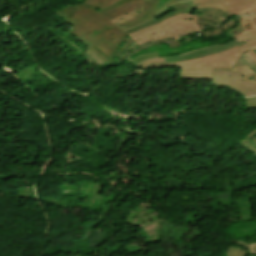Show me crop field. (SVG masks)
<instances>
[{
  "label": "crop field",
  "instance_id": "crop-field-1",
  "mask_svg": "<svg viewBox=\"0 0 256 256\" xmlns=\"http://www.w3.org/2000/svg\"><path fill=\"white\" fill-rule=\"evenodd\" d=\"M178 0H85L59 8L54 13L71 24L68 34L93 50L107 64L132 42L127 30L145 22L167 5Z\"/></svg>",
  "mask_w": 256,
  "mask_h": 256
},
{
  "label": "crop field",
  "instance_id": "crop-field-2",
  "mask_svg": "<svg viewBox=\"0 0 256 256\" xmlns=\"http://www.w3.org/2000/svg\"><path fill=\"white\" fill-rule=\"evenodd\" d=\"M180 13L209 15L226 21L235 15L256 13V0H191L178 2L159 12L155 18L153 17L154 19L130 29L126 33L130 34Z\"/></svg>",
  "mask_w": 256,
  "mask_h": 256
},
{
  "label": "crop field",
  "instance_id": "crop-field-3",
  "mask_svg": "<svg viewBox=\"0 0 256 256\" xmlns=\"http://www.w3.org/2000/svg\"><path fill=\"white\" fill-rule=\"evenodd\" d=\"M196 22H205L215 26L224 23V21L209 16L181 14L167 18L156 25L137 31L129 35V37L143 49L156 43L180 38L200 31Z\"/></svg>",
  "mask_w": 256,
  "mask_h": 256
},
{
  "label": "crop field",
  "instance_id": "crop-field-4",
  "mask_svg": "<svg viewBox=\"0 0 256 256\" xmlns=\"http://www.w3.org/2000/svg\"><path fill=\"white\" fill-rule=\"evenodd\" d=\"M249 50L247 44L237 49L226 51L221 54L209 57L192 59L176 63H157L147 65L146 68L179 66L181 68L180 77L184 79H211L212 68H232L236 60L243 52Z\"/></svg>",
  "mask_w": 256,
  "mask_h": 256
},
{
  "label": "crop field",
  "instance_id": "crop-field-5",
  "mask_svg": "<svg viewBox=\"0 0 256 256\" xmlns=\"http://www.w3.org/2000/svg\"><path fill=\"white\" fill-rule=\"evenodd\" d=\"M239 74L232 70H213L211 84L226 86L243 96L256 95V86L237 79Z\"/></svg>",
  "mask_w": 256,
  "mask_h": 256
},
{
  "label": "crop field",
  "instance_id": "crop-field-6",
  "mask_svg": "<svg viewBox=\"0 0 256 256\" xmlns=\"http://www.w3.org/2000/svg\"><path fill=\"white\" fill-rule=\"evenodd\" d=\"M234 18L238 23L226 30L234 39L237 38L241 41L256 37V15H243Z\"/></svg>",
  "mask_w": 256,
  "mask_h": 256
},
{
  "label": "crop field",
  "instance_id": "crop-field-7",
  "mask_svg": "<svg viewBox=\"0 0 256 256\" xmlns=\"http://www.w3.org/2000/svg\"><path fill=\"white\" fill-rule=\"evenodd\" d=\"M245 44L244 42L238 43L237 41H231L225 45H219L217 47L213 48H207V49H202L190 54L186 55H180V56H173V57H166L165 62H176V61H183V60H188L191 58H198V57H203V56H209L211 54H216V53H221L223 51L237 48L238 46Z\"/></svg>",
  "mask_w": 256,
  "mask_h": 256
},
{
  "label": "crop field",
  "instance_id": "crop-field-8",
  "mask_svg": "<svg viewBox=\"0 0 256 256\" xmlns=\"http://www.w3.org/2000/svg\"><path fill=\"white\" fill-rule=\"evenodd\" d=\"M141 48V47H140ZM139 46L134 42L131 44L128 48H126L120 56L113 62L112 65L108 66L102 59H100L94 52H92L90 49L85 52L86 56H88L90 59L95 61L96 63L104 66V67H112L118 65L121 61H123L129 54L140 50Z\"/></svg>",
  "mask_w": 256,
  "mask_h": 256
},
{
  "label": "crop field",
  "instance_id": "crop-field-9",
  "mask_svg": "<svg viewBox=\"0 0 256 256\" xmlns=\"http://www.w3.org/2000/svg\"><path fill=\"white\" fill-rule=\"evenodd\" d=\"M248 153L256 157V130L247 135L246 138L237 143Z\"/></svg>",
  "mask_w": 256,
  "mask_h": 256
},
{
  "label": "crop field",
  "instance_id": "crop-field-10",
  "mask_svg": "<svg viewBox=\"0 0 256 256\" xmlns=\"http://www.w3.org/2000/svg\"><path fill=\"white\" fill-rule=\"evenodd\" d=\"M230 241L238 242V243H241V244L249 247L250 248L249 251H256V243H243L241 241H235V240H230ZM226 254H227V256H246L248 254V251H243L240 248L227 246Z\"/></svg>",
  "mask_w": 256,
  "mask_h": 256
},
{
  "label": "crop field",
  "instance_id": "crop-field-11",
  "mask_svg": "<svg viewBox=\"0 0 256 256\" xmlns=\"http://www.w3.org/2000/svg\"><path fill=\"white\" fill-rule=\"evenodd\" d=\"M237 22L235 21V19H231L230 21L226 22L225 24L215 28V29H211V30H207V31H203V34L205 35V37H210V36H214V35H218L222 32H224L226 29H228L229 27H231L232 25L236 24Z\"/></svg>",
  "mask_w": 256,
  "mask_h": 256
},
{
  "label": "crop field",
  "instance_id": "crop-field-12",
  "mask_svg": "<svg viewBox=\"0 0 256 256\" xmlns=\"http://www.w3.org/2000/svg\"><path fill=\"white\" fill-rule=\"evenodd\" d=\"M155 57H159L157 51L156 52H152L150 54H144L141 55L137 58H135L134 60L130 59L129 57L126 59L128 61H130L131 63H133L135 66L138 65L140 62L147 60L149 58H155Z\"/></svg>",
  "mask_w": 256,
  "mask_h": 256
},
{
  "label": "crop field",
  "instance_id": "crop-field-13",
  "mask_svg": "<svg viewBox=\"0 0 256 256\" xmlns=\"http://www.w3.org/2000/svg\"><path fill=\"white\" fill-rule=\"evenodd\" d=\"M240 63H244L245 65H247L249 68H251L252 70H254L256 72V62L250 60L245 54H243L239 61Z\"/></svg>",
  "mask_w": 256,
  "mask_h": 256
},
{
  "label": "crop field",
  "instance_id": "crop-field-14",
  "mask_svg": "<svg viewBox=\"0 0 256 256\" xmlns=\"http://www.w3.org/2000/svg\"><path fill=\"white\" fill-rule=\"evenodd\" d=\"M243 99L245 101L246 109H256V97Z\"/></svg>",
  "mask_w": 256,
  "mask_h": 256
},
{
  "label": "crop field",
  "instance_id": "crop-field-15",
  "mask_svg": "<svg viewBox=\"0 0 256 256\" xmlns=\"http://www.w3.org/2000/svg\"><path fill=\"white\" fill-rule=\"evenodd\" d=\"M168 44H169L171 49L181 46L180 43L178 42V40L177 41H175V40L170 41Z\"/></svg>",
  "mask_w": 256,
  "mask_h": 256
},
{
  "label": "crop field",
  "instance_id": "crop-field-16",
  "mask_svg": "<svg viewBox=\"0 0 256 256\" xmlns=\"http://www.w3.org/2000/svg\"><path fill=\"white\" fill-rule=\"evenodd\" d=\"M249 46L252 48L251 50L253 49H256V38L255 39H249L247 40Z\"/></svg>",
  "mask_w": 256,
  "mask_h": 256
},
{
  "label": "crop field",
  "instance_id": "crop-field-17",
  "mask_svg": "<svg viewBox=\"0 0 256 256\" xmlns=\"http://www.w3.org/2000/svg\"><path fill=\"white\" fill-rule=\"evenodd\" d=\"M248 256H256V252H249Z\"/></svg>",
  "mask_w": 256,
  "mask_h": 256
},
{
  "label": "crop field",
  "instance_id": "crop-field-18",
  "mask_svg": "<svg viewBox=\"0 0 256 256\" xmlns=\"http://www.w3.org/2000/svg\"><path fill=\"white\" fill-rule=\"evenodd\" d=\"M252 52H254V53L256 54V50H254V51H252Z\"/></svg>",
  "mask_w": 256,
  "mask_h": 256
},
{
  "label": "crop field",
  "instance_id": "crop-field-19",
  "mask_svg": "<svg viewBox=\"0 0 256 256\" xmlns=\"http://www.w3.org/2000/svg\"><path fill=\"white\" fill-rule=\"evenodd\" d=\"M79 256V255H78Z\"/></svg>",
  "mask_w": 256,
  "mask_h": 256
}]
</instances>
